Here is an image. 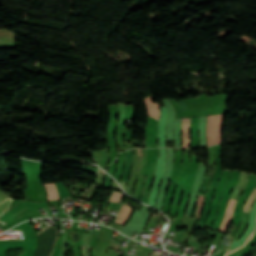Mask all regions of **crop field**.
Segmentation results:
<instances>
[{"label": "crop field", "mask_w": 256, "mask_h": 256, "mask_svg": "<svg viewBox=\"0 0 256 256\" xmlns=\"http://www.w3.org/2000/svg\"><path fill=\"white\" fill-rule=\"evenodd\" d=\"M222 115L223 114L208 116V121H207L208 144H207V146H210L213 144H221L220 126H221Z\"/></svg>", "instance_id": "crop-field-1"}, {"label": "crop field", "mask_w": 256, "mask_h": 256, "mask_svg": "<svg viewBox=\"0 0 256 256\" xmlns=\"http://www.w3.org/2000/svg\"><path fill=\"white\" fill-rule=\"evenodd\" d=\"M235 203H236L235 200H231V199L229 200V204H228V207H227V211H226L223 223L221 224V226L219 228V230L222 231V232H226V227L229 224V222L232 220V215H233V210H234V207H235Z\"/></svg>", "instance_id": "crop-field-2"}, {"label": "crop field", "mask_w": 256, "mask_h": 256, "mask_svg": "<svg viewBox=\"0 0 256 256\" xmlns=\"http://www.w3.org/2000/svg\"><path fill=\"white\" fill-rule=\"evenodd\" d=\"M155 165L156 163H151V167L147 176V179L145 181V187H144V195H143V202L147 203V197L149 195L150 192V188L152 185V181H153V176H154V171H155Z\"/></svg>", "instance_id": "crop-field-3"}, {"label": "crop field", "mask_w": 256, "mask_h": 256, "mask_svg": "<svg viewBox=\"0 0 256 256\" xmlns=\"http://www.w3.org/2000/svg\"><path fill=\"white\" fill-rule=\"evenodd\" d=\"M189 121H190V118L182 119V133H183L182 148H189L190 146V135L188 133Z\"/></svg>", "instance_id": "crop-field-4"}, {"label": "crop field", "mask_w": 256, "mask_h": 256, "mask_svg": "<svg viewBox=\"0 0 256 256\" xmlns=\"http://www.w3.org/2000/svg\"><path fill=\"white\" fill-rule=\"evenodd\" d=\"M144 100L146 102L149 115L158 119L159 118V109H158L157 103H153L151 97L145 98Z\"/></svg>", "instance_id": "crop-field-5"}, {"label": "crop field", "mask_w": 256, "mask_h": 256, "mask_svg": "<svg viewBox=\"0 0 256 256\" xmlns=\"http://www.w3.org/2000/svg\"><path fill=\"white\" fill-rule=\"evenodd\" d=\"M45 185V184H44ZM48 190H49V194H50V198L51 200H55V199H59L58 197V193H57V189H56V185L55 184H47ZM47 187L45 185L46 188V192L48 194V190ZM49 194H48V198H49ZM50 200V199H49Z\"/></svg>", "instance_id": "crop-field-6"}, {"label": "crop field", "mask_w": 256, "mask_h": 256, "mask_svg": "<svg viewBox=\"0 0 256 256\" xmlns=\"http://www.w3.org/2000/svg\"><path fill=\"white\" fill-rule=\"evenodd\" d=\"M256 199V188L254 189L253 193L250 195L249 199L247 200L246 204L243 207L244 212H250L251 206Z\"/></svg>", "instance_id": "crop-field-7"}, {"label": "crop field", "mask_w": 256, "mask_h": 256, "mask_svg": "<svg viewBox=\"0 0 256 256\" xmlns=\"http://www.w3.org/2000/svg\"><path fill=\"white\" fill-rule=\"evenodd\" d=\"M104 175H105V172H103L102 170H99L98 178H97V182L96 183L102 185L103 180H104Z\"/></svg>", "instance_id": "crop-field-8"}, {"label": "crop field", "mask_w": 256, "mask_h": 256, "mask_svg": "<svg viewBox=\"0 0 256 256\" xmlns=\"http://www.w3.org/2000/svg\"><path fill=\"white\" fill-rule=\"evenodd\" d=\"M82 248H83V255L90 256V246L82 244Z\"/></svg>", "instance_id": "crop-field-9"}, {"label": "crop field", "mask_w": 256, "mask_h": 256, "mask_svg": "<svg viewBox=\"0 0 256 256\" xmlns=\"http://www.w3.org/2000/svg\"><path fill=\"white\" fill-rule=\"evenodd\" d=\"M7 45H15L14 43H10V44H0V46H7Z\"/></svg>", "instance_id": "crop-field-10"}]
</instances>
